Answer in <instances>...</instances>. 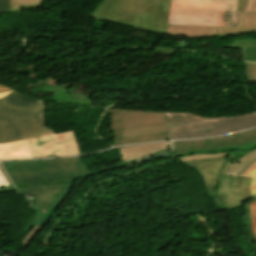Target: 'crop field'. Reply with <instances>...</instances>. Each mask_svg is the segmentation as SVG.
Listing matches in <instances>:
<instances>
[{
  "instance_id": "1",
  "label": "crop field",
  "mask_w": 256,
  "mask_h": 256,
  "mask_svg": "<svg viewBox=\"0 0 256 256\" xmlns=\"http://www.w3.org/2000/svg\"><path fill=\"white\" fill-rule=\"evenodd\" d=\"M171 0H103L89 15L95 19L188 39L217 35L216 27L167 26Z\"/></svg>"
},
{
  "instance_id": "2",
  "label": "crop field",
  "mask_w": 256,
  "mask_h": 256,
  "mask_svg": "<svg viewBox=\"0 0 256 256\" xmlns=\"http://www.w3.org/2000/svg\"><path fill=\"white\" fill-rule=\"evenodd\" d=\"M1 163L17 190L44 185L74 184L75 179L101 172H90L81 157Z\"/></svg>"
},
{
  "instance_id": "3",
  "label": "crop field",
  "mask_w": 256,
  "mask_h": 256,
  "mask_svg": "<svg viewBox=\"0 0 256 256\" xmlns=\"http://www.w3.org/2000/svg\"><path fill=\"white\" fill-rule=\"evenodd\" d=\"M45 102L16 91L0 100V144L54 133L46 128Z\"/></svg>"
},
{
  "instance_id": "4",
  "label": "crop field",
  "mask_w": 256,
  "mask_h": 256,
  "mask_svg": "<svg viewBox=\"0 0 256 256\" xmlns=\"http://www.w3.org/2000/svg\"><path fill=\"white\" fill-rule=\"evenodd\" d=\"M237 0H172L168 25L235 27Z\"/></svg>"
},
{
  "instance_id": "5",
  "label": "crop field",
  "mask_w": 256,
  "mask_h": 256,
  "mask_svg": "<svg viewBox=\"0 0 256 256\" xmlns=\"http://www.w3.org/2000/svg\"><path fill=\"white\" fill-rule=\"evenodd\" d=\"M171 139L209 137L256 126V113L234 118H203L166 113Z\"/></svg>"
},
{
  "instance_id": "6",
  "label": "crop field",
  "mask_w": 256,
  "mask_h": 256,
  "mask_svg": "<svg viewBox=\"0 0 256 256\" xmlns=\"http://www.w3.org/2000/svg\"><path fill=\"white\" fill-rule=\"evenodd\" d=\"M231 157L186 162L200 171L206 187L219 185L217 195H221L225 208L238 206L250 197L248 187L251 179L225 175Z\"/></svg>"
},
{
  "instance_id": "7",
  "label": "crop field",
  "mask_w": 256,
  "mask_h": 256,
  "mask_svg": "<svg viewBox=\"0 0 256 256\" xmlns=\"http://www.w3.org/2000/svg\"><path fill=\"white\" fill-rule=\"evenodd\" d=\"M173 156L192 153H211L220 151H241L256 148V129L214 139L173 142Z\"/></svg>"
},
{
  "instance_id": "8",
  "label": "crop field",
  "mask_w": 256,
  "mask_h": 256,
  "mask_svg": "<svg viewBox=\"0 0 256 256\" xmlns=\"http://www.w3.org/2000/svg\"><path fill=\"white\" fill-rule=\"evenodd\" d=\"M73 186L74 185L44 186L43 188L40 187L19 191L22 195L35 194L37 199L31 208L37 212L34 218L25 226V229L29 232L21 241L24 248L30 239L47 222L52 212L60 204L62 199L67 195ZM44 208L48 210L42 214L41 211Z\"/></svg>"
},
{
  "instance_id": "9",
  "label": "crop field",
  "mask_w": 256,
  "mask_h": 256,
  "mask_svg": "<svg viewBox=\"0 0 256 256\" xmlns=\"http://www.w3.org/2000/svg\"><path fill=\"white\" fill-rule=\"evenodd\" d=\"M33 157H52L78 155L77 136L72 131L36 137L30 139Z\"/></svg>"
},
{
  "instance_id": "10",
  "label": "crop field",
  "mask_w": 256,
  "mask_h": 256,
  "mask_svg": "<svg viewBox=\"0 0 256 256\" xmlns=\"http://www.w3.org/2000/svg\"><path fill=\"white\" fill-rule=\"evenodd\" d=\"M112 111V127L115 135L116 146L136 142H150L169 139L166 124L121 130V110L112 109Z\"/></svg>"
},
{
  "instance_id": "11",
  "label": "crop field",
  "mask_w": 256,
  "mask_h": 256,
  "mask_svg": "<svg viewBox=\"0 0 256 256\" xmlns=\"http://www.w3.org/2000/svg\"><path fill=\"white\" fill-rule=\"evenodd\" d=\"M164 117V119H162ZM164 112L122 110V129L164 124Z\"/></svg>"
},
{
  "instance_id": "12",
  "label": "crop field",
  "mask_w": 256,
  "mask_h": 256,
  "mask_svg": "<svg viewBox=\"0 0 256 256\" xmlns=\"http://www.w3.org/2000/svg\"><path fill=\"white\" fill-rule=\"evenodd\" d=\"M217 38L256 32V13L237 12L236 28L217 27Z\"/></svg>"
},
{
  "instance_id": "13",
  "label": "crop field",
  "mask_w": 256,
  "mask_h": 256,
  "mask_svg": "<svg viewBox=\"0 0 256 256\" xmlns=\"http://www.w3.org/2000/svg\"><path fill=\"white\" fill-rule=\"evenodd\" d=\"M170 147V142L157 143V144H145L134 145L125 148H119L121 152L122 162L133 160L137 157L152 154L165 150Z\"/></svg>"
},
{
  "instance_id": "14",
  "label": "crop field",
  "mask_w": 256,
  "mask_h": 256,
  "mask_svg": "<svg viewBox=\"0 0 256 256\" xmlns=\"http://www.w3.org/2000/svg\"><path fill=\"white\" fill-rule=\"evenodd\" d=\"M31 157L28 140L0 145V159H15Z\"/></svg>"
},
{
  "instance_id": "15",
  "label": "crop field",
  "mask_w": 256,
  "mask_h": 256,
  "mask_svg": "<svg viewBox=\"0 0 256 256\" xmlns=\"http://www.w3.org/2000/svg\"><path fill=\"white\" fill-rule=\"evenodd\" d=\"M222 47H232L244 49L245 61H255L256 62V39L247 38L234 40L230 45H222Z\"/></svg>"
},
{
  "instance_id": "16",
  "label": "crop field",
  "mask_w": 256,
  "mask_h": 256,
  "mask_svg": "<svg viewBox=\"0 0 256 256\" xmlns=\"http://www.w3.org/2000/svg\"><path fill=\"white\" fill-rule=\"evenodd\" d=\"M256 160V149L250 151L240 160L235 163L230 164L227 173L232 175V177H237V175L244 170L249 164Z\"/></svg>"
},
{
  "instance_id": "17",
  "label": "crop field",
  "mask_w": 256,
  "mask_h": 256,
  "mask_svg": "<svg viewBox=\"0 0 256 256\" xmlns=\"http://www.w3.org/2000/svg\"><path fill=\"white\" fill-rule=\"evenodd\" d=\"M249 231L256 241V197L246 204Z\"/></svg>"
},
{
  "instance_id": "18",
  "label": "crop field",
  "mask_w": 256,
  "mask_h": 256,
  "mask_svg": "<svg viewBox=\"0 0 256 256\" xmlns=\"http://www.w3.org/2000/svg\"><path fill=\"white\" fill-rule=\"evenodd\" d=\"M238 177L252 178L249 191L251 193V197L256 195V161L249 165L244 171H242Z\"/></svg>"
},
{
  "instance_id": "19",
  "label": "crop field",
  "mask_w": 256,
  "mask_h": 256,
  "mask_svg": "<svg viewBox=\"0 0 256 256\" xmlns=\"http://www.w3.org/2000/svg\"><path fill=\"white\" fill-rule=\"evenodd\" d=\"M11 12H21L20 8L40 7L43 0H10Z\"/></svg>"
},
{
  "instance_id": "20",
  "label": "crop field",
  "mask_w": 256,
  "mask_h": 256,
  "mask_svg": "<svg viewBox=\"0 0 256 256\" xmlns=\"http://www.w3.org/2000/svg\"><path fill=\"white\" fill-rule=\"evenodd\" d=\"M234 152H220V153H212V154H193L189 156L179 157L182 161H189V160H200L206 158H214V157H221V156H229L233 155Z\"/></svg>"
},
{
  "instance_id": "21",
  "label": "crop field",
  "mask_w": 256,
  "mask_h": 256,
  "mask_svg": "<svg viewBox=\"0 0 256 256\" xmlns=\"http://www.w3.org/2000/svg\"><path fill=\"white\" fill-rule=\"evenodd\" d=\"M246 82H256V63H245Z\"/></svg>"
},
{
  "instance_id": "22",
  "label": "crop field",
  "mask_w": 256,
  "mask_h": 256,
  "mask_svg": "<svg viewBox=\"0 0 256 256\" xmlns=\"http://www.w3.org/2000/svg\"><path fill=\"white\" fill-rule=\"evenodd\" d=\"M218 186L206 188L210 198L216 203L218 209H221L219 200L215 195Z\"/></svg>"
},
{
  "instance_id": "23",
  "label": "crop field",
  "mask_w": 256,
  "mask_h": 256,
  "mask_svg": "<svg viewBox=\"0 0 256 256\" xmlns=\"http://www.w3.org/2000/svg\"><path fill=\"white\" fill-rule=\"evenodd\" d=\"M10 12L9 0H0V13Z\"/></svg>"
},
{
  "instance_id": "24",
  "label": "crop field",
  "mask_w": 256,
  "mask_h": 256,
  "mask_svg": "<svg viewBox=\"0 0 256 256\" xmlns=\"http://www.w3.org/2000/svg\"><path fill=\"white\" fill-rule=\"evenodd\" d=\"M246 11L256 12V0H248Z\"/></svg>"
},
{
  "instance_id": "25",
  "label": "crop field",
  "mask_w": 256,
  "mask_h": 256,
  "mask_svg": "<svg viewBox=\"0 0 256 256\" xmlns=\"http://www.w3.org/2000/svg\"><path fill=\"white\" fill-rule=\"evenodd\" d=\"M247 0H238L237 11H245Z\"/></svg>"
},
{
  "instance_id": "26",
  "label": "crop field",
  "mask_w": 256,
  "mask_h": 256,
  "mask_svg": "<svg viewBox=\"0 0 256 256\" xmlns=\"http://www.w3.org/2000/svg\"><path fill=\"white\" fill-rule=\"evenodd\" d=\"M7 90H12V89L7 88V87H5V86H3V85H0V92H1V91H7Z\"/></svg>"
},
{
  "instance_id": "27",
  "label": "crop field",
  "mask_w": 256,
  "mask_h": 256,
  "mask_svg": "<svg viewBox=\"0 0 256 256\" xmlns=\"http://www.w3.org/2000/svg\"><path fill=\"white\" fill-rule=\"evenodd\" d=\"M13 91V90H12ZM12 91H7V92H1L0 93V98L6 96L8 93L12 92Z\"/></svg>"
}]
</instances>
